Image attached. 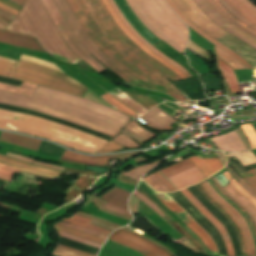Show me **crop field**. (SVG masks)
Instances as JSON below:
<instances>
[{
  "label": "crop field",
  "mask_w": 256,
  "mask_h": 256,
  "mask_svg": "<svg viewBox=\"0 0 256 256\" xmlns=\"http://www.w3.org/2000/svg\"><path fill=\"white\" fill-rule=\"evenodd\" d=\"M223 174H224V176L227 178L228 181L231 179V177H230L228 171H226V172L223 173Z\"/></svg>",
  "instance_id": "ae633e8c"
},
{
  "label": "crop field",
  "mask_w": 256,
  "mask_h": 256,
  "mask_svg": "<svg viewBox=\"0 0 256 256\" xmlns=\"http://www.w3.org/2000/svg\"><path fill=\"white\" fill-rule=\"evenodd\" d=\"M0 102L37 110L112 137L130 119L101 104L40 86L30 97L3 92Z\"/></svg>",
  "instance_id": "ac0d7876"
},
{
  "label": "crop field",
  "mask_w": 256,
  "mask_h": 256,
  "mask_svg": "<svg viewBox=\"0 0 256 256\" xmlns=\"http://www.w3.org/2000/svg\"><path fill=\"white\" fill-rule=\"evenodd\" d=\"M58 7L61 15L63 16L64 20L70 27L73 35L82 45V47L94 57H96L101 63L105 66H110L114 64L111 60H109L105 55H103L98 48L91 42V40L84 34L80 24L78 23L77 19L67 6L65 0H53ZM95 58V59H96ZM96 59V60H97Z\"/></svg>",
  "instance_id": "3316defc"
},
{
  "label": "crop field",
  "mask_w": 256,
  "mask_h": 256,
  "mask_svg": "<svg viewBox=\"0 0 256 256\" xmlns=\"http://www.w3.org/2000/svg\"><path fill=\"white\" fill-rule=\"evenodd\" d=\"M181 12L198 28L209 36L219 39L228 34L211 22L192 0H173Z\"/></svg>",
  "instance_id": "28ad6ade"
},
{
  "label": "crop field",
  "mask_w": 256,
  "mask_h": 256,
  "mask_svg": "<svg viewBox=\"0 0 256 256\" xmlns=\"http://www.w3.org/2000/svg\"><path fill=\"white\" fill-rule=\"evenodd\" d=\"M1 92H2V91H0V95H1Z\"/></svg>",
  "instance_id": "ade564c9"
},
{
  "label": "crop field",
  "mask_w": 256,
  "mask_h": 256,
  "mask_svg": "<svg viewBox=\"0 0 256 256\" xmlns=\"http://www.w3.org/2000/svg\"><path fill=\"white\" fill-rule=\"evenodd\" d=\"M144 180L155 190L160 192H169L170 190L160 181L158 180L153 174L144 178Z\"/></svg>",
  "instance_id": "0bd39190"
},
{
  "label": "crop field",
  "mask_w": 256,
  "mask_h": 256,
  "mask_svg": "<svg viewBox=\"0 0 256 256\" xmlns=\"http://www.w3.org/2000/svg\"><path fill=\"white\" fill-rule=\"evenodd\" d=\"M125 128L146 140L155 135L141 127L138 123H136L133 120L127 126H125Z\"/></svg>",
  "instance_id": "5866460e"
},
{
  "label": "crop field",
  "mask_w": 256,
  "mask_h": 256,
  "mask_svg": "<svg viewBox=\"0 0 256 256\" xmlns=\"http://www.w3.org/2000/svg\"><path fill=\"white\" fill-rule=\"evenodd\" d=\"M5 28V26L0 24V29L3 30Z\"/></svg>",
  "instance_id": "c39391a2"
},
{
  "label": "crop field",
  "mask_w": 256,
  "mask_h": 256,
  "mask_svg": "<svg viewBox=\"0 0 256 256\" xmlns=\"http://www.w3.org/2000/svg\"><path fill=\"white\" fill-rule=\"evenodd\" d=\"M66 2L80 22L85 34L111 60L141 79L145 84L169 89L184 98L180 91L166 79L174 81L180 78L139 49L121 31L101 0H66ZM152 86L148 87L166 92L178 101L185 99L169 90Z\"/></svg>",
  "instance_id": "8a807250"
},
{
  "label": "crop field",
  "mask_w": 256,
  "mask_h": 256,
  "mask_svg": "<svg viewBox=\"0 0 256 256\" xmlns=\"http://www.w3.org/2000/svg\"><path fill=\"white\" fill-rule=\"evenodd\" d=\"M101 97H103L105 100H107L110 104H112L117 109H119V110H121V111H123V112H125V113H127L131 116L136 113L133 110H131L130 108H128L125 105H123L122 103H120L119 101H117L115 98H113L108 93L101 96Z\"/></svg>",
  "instance_id": "b80d0937"
},
{
  "label": "crop field",
  "mask_w": 256,
  "mask_h": 256,
  "mask_svg": "<svg viewBox=\"0 0 256 256\" xmlns=\"http://www.w3.org/2000/svg\"><path fill=\"white\" fill-rule=\"evenodd\" d=\"M118 90L119 92H121V95H117L115 94L112 90ZM110 91H108L111 95H113L115 98H117L119 101L125 103L126 105H128L129 107H131L132 109H134L135 111H137L138 113L142 114L143 112L147 111L148 109H146L144 106H142L141 104L137 103L136 101H134L133 99H131L129 96H127L125 93H123L121 90H119L117 87L114 88Z\"/></svg>",
  "instance_id": "d3111659"
},
{
  "label": "crop field",
  "mask_w": 256,
  "mask_h": 256,
  "mask_svg": "<svg viewBox=\"0 0 256 256\" xmlns=\"http://www.w3.org/2000/svg\"><path fill=\"white\" fill-rule=\"evenodd\" d=\"M235 174V173H234ZM236 175V174H235ZM237 177V176H236ZM238 178V177H237ZM239 179V178H238ZM237 182L243 189H245L251 196L256 198V193L241 179Z\"/></svg>",
  "instance_id": "447ae74e"
},
{
  "label": "crop field",
  "mask_w": 256,
  "mask_h": 256,
  "mask_svg": "<svg viewBox=\"0 0 256 256\" xmlns=\"http://www.w3.org/2000/svg\"><path fill=\"white\" fill-rule=\"evenodd\" d=\"M127 2L154 35L183 53L188 38L187 27L163 0H127Z\"/></svg>",
  "instance_id": "f4fd0767"
},
{
  "label": "crop field",
  "mask_w": 256,
  "mask_h": 256,
  "mask_svg": "<svg viewBox=\"0 0 256 256\" xmlns=\"http://www.w3.org/2000/svg\"><path fill=\"white\" fill-rule=\"evenodd\" d=\"M57 224L65 226V227H69V228H72V229H75V230H79V231H82V232H85V233H89V234H92V235H95V236H98V237H101V238H104V239H106V237H107V235L100 234L98 232L92 231V230L87 229V228H83V227H79V226H75V225H71V224H67V223H63V222H59Z\"/></svg>",
  "instance_id": "5d738f31"
},
{
  "label": "crop field",
  "mask_w": 256,
  "mask_h": 256,
  "mask_svg": "<svg viewBox=\"0 0 256 256\" xmlns=\"http://www.w3.org/2000/svg\"><path fill=\"white\" fill-rule=\"evenodd\" d=\"M226 191H228L234 198H236L241 204H243L255 217L256 219V208L253 206V204L245 199L243 196H241L233 187L231 184H228L224 187Z\"/></svg>",
  "instance_id": "1d83c4d3"
},
{
  "label": "crop field",
  "mask_w": 256,
  "mask_h": 256,
  "mask_svg": "<svg viewBox=\"0 0 256 256\" xmlns=\"http://www.w3.org/2000/svg\"><path fill=\"white\" fill-rule=\"evenodd\" d=\"M41 2L69 48L99 73L106 69L100 63H98L91 55H89L73 37L69 27L61 17L54 2L52 0H41Z\"/></svg>",
  "instance_id": "d8731c3e"
},
{
  "label": "crop field",
  "mask_w": 256,
  "mask_h": 256,
  "mask_svg": "<svg viewBox=\"0 0 256 256\" xmlns=\"http://www.w3.org/2000/svg\"><path fill=\"white\" fill-rule=\"evenodd\" d=\"M203 185L206 187V189L219 201L221 202L231 213L232 215L238 220L245 236H246V240L248 243V247H249V252H250V256H256L255 253V249H254V244H253V240H252V236L251 233L248 229V225L245 222V220L243 219V217L241 216V214L236 211L230 204H228L226 201H224L215 191L214 189L210 186V184L206 181L203 182Z\"/></svg>",
  "instance_id": "214f88e0"
},
{
  "label": "crop field",
  "mask_w": 256,
  "mask_h": 256,
  "mask_svg": "<svg viewBox=\"0 0 256 256\" xmlns=\"http://www.w3.org/2000/svg\"><path fill=\"white\" fill-rule=\"evenodd\" d=\"M219 13L222 17H224L226 20H228L230 23H232L234 26L244 30L246 33L249 35L253 36L256 38V35L253 33L249 32L248 30L244 29L243 27L239 26L237 23H235L230 17H228L212 0H207Z\"/></svg>",
  "instance_id": "d23c7cc5"
},
{
  "label": "crop field",
  "mask_w": 256,
  "mask_h": 256,
  "mask_svg": "<svg viewBox=\"0 0 256 256\" xmlns=\"http://www.w3.org/2000/svg\"><path fill=\"white\" fill-rule=\"evenodd\" d=\"M94 180V178L81 176L69 190V192L67 193L68 196L65 198V200L72 201L73 199H75L78 195L85 191Z\"/></svg>",
  "instance_id": "ae1a2a85"
},
{
  "label": "crop field",
  "mask_w": 256,
  "mask_h": 256,
  "mask_svg": "<svg viewBox=\"0 0 256 256\" xmlns=\"http://www.w3.org/2000/svg\"><path fill=\"white\" fill-rule=\"evenodd\" d=\"M6 29L35 37L49 54L80 59L62 40L40 0H26Z\"/></svg>",
  "instance_id": "412701ff"
},
{
  "label": "crop field",
  "mask_w": 256,
  "mask_h": 256,
  "mask_svg": "<svg viewBox=\"0 0 256 256\" xmlns=\"http://www.w3.org/2000/svg\"><path fill=\"white\" fill-rule=\"evenodd\" d=\"M198 7L210 18L214 23L222 29L237 37L241 41L256 49V39L234 27L232 24L222 18L219 13L206 0H193Z\"/></svg>",
  "instance_id": "cbeb9de0"
},
{
  "label": "crop field",
  "mask_w": 256,
  "mask_h": 256,
  "mask_svg": "<svg viewBox=\"0 0 256 256\" xmlns=\"http://www.w3.org/2000/svg\"><path fill=\"white\" fill-rule=\"evenodd\" d=\"M0 16L4 17L10 21L15 17L2 9H0Z\"/></svg>",
  "instance_id": "7b73153f"
},
{
  "label": "crop field",
  "mask_w": 256,
  "mask_h": 256,
  "mask_svg": "<svg viewBox=\"0 0 256 256\" xmlns=\"http://www.w3.org/2000/svg\"><path fill=\"white\" fill-rule=\"evenodd\" d=\"M54 228L57 229V230L75 235V236H79V237H82V238H85V239H88V240H91V241L101 243V244H103V242H104V239H101V238H98V237H95V236H92V235H89V234L81 233V232H78V231L70 230V229H67V228L62 227V226L54 225Z\"/></svg>",
  "instance_id": "e1f06a70"
},
{
  "label": "crop field",
  "mask_w": 256,
  "mask_h": 256,
  "mask_svg": "<svg viewBox=\"0 0 256 256\" xmlns=\"http://www.w3.org/2000/svg\"><path fill=\"white\" fill-rule=\"evenodd\" d=\"M129 195L130 193L114 187L113 189H111L110 191H108L107 193L100 197L127 209L126 200L129 197Z\"/></svg>",
  "instance_id": "eef30255"
},
{
  "label": "crop field",
  "mask_w": 256,
  "mask_h": 256,
  "mask_svg": "<svg viewBox=\"0 0 256 256\" xmlns=\"http://www.w3.org/2000/svg\"><path fill=\"white\" fill-rule=\"evenodd\" d=\"M213 180H214L215 183L222 189V191H223L224 193H226L228 196H230L235 202H237L241 207H243V208L246 210V212L248 213V215L250 216V218L252 219V221H253V223L255 224V227H256V221H255V219L253 218V216L250 214V212H249L244 206H242L236 199H234L229 193H227V192L224 190V188L217 182V180L215 179V177H213Z\"/></svg>",
  "instance_id": "1d79db26"
},
{
  "label": "crop field",
  "mask_w": 256,
  "mask_h": 256,
  "mask_svg": "<svg viewBox=\"0 0 256 256\" xmlns=\"http://www.w3.org/2000/svg\"><path fill=\"white\" fill-rule=\"evenodd\" d=\"M112 141L119 143L125 147H140V145H138L132 139H130L120 133L116 137H114V139Z\"/></svg>",
  "instance_id": "c035e120"
},
{
  "label": "crop field",
  "mask_w": 256,
  "mask_h": 256,
  "mask_svg": "<svg viewBox=\"0 0 256 256\" xmlns=\"http://www.w3.org/2000/svg\"><path fill=\"white\" fill-rule=\"evenodd\" d=\"M216 64H217L218 71L220 72L222 77L226 80L231 93H239L237 78L234 75L233 71L217 57H216Z\"/></svg>",
  "instance_id": "730fd06b"
},
{
  "label": "crop field",
  "mask_w": 256,
  "mask_h": 256,
  "mask_svg": "<svg viewBox=\"0 0 256 256\" xmlns=\"http://www.w3.org/2000/svg\"><path fill=\"white\" fill-rule=\"evenodd\" d=\"M120 133H122V134H124V135H126V136H128V137H130V138H132V139H134V140H137L139 143H144V142H146V141L143 140L142 138H140V137H138V136H136V135H134V134H132V133L126 131L125 129H123Z\"/></svg>",
  "instance_id": "db79e9e6"
},
{
  "label": "crop field",
  "mask_w": 256,
  "mask_h": 256,
  "mask_svg": "<svg viewBox=\"0 0 256 256\" xmlns=\"http://www.w3.org/2000/svg\"><path fill=\"white\" fill-rule=\"evenodd\" d=\"M160 201L168 208H172L176 204L169 196L160 199ZM187 227L194 231L203 241L206 247L211 252L212 256H218L217 248L211 237L182 209L174 213Z\"/></svg>",
  "instance_id": "5142ce71"
},
{
  "label": "crop field",
  "mask_w": 256,
  "mask_h": 256,
  "mask_svg": "<svg viewBox=\"0 0 256 256\" xmlns=\"http://www.w3.org/2000/svg\"><path fill=\"white\" fill-rule=\"evenodd\" d=\"M0 140L6 141L11 144L18 145V146H22V147H25L28 149H32L35 151L37 150V148L41 142L39 140L30 139V138H26V137L14 135V134H9V133H5V132L1 133Z\"/></svg>",
  "instance_id": "4177f3b9"
},
{
  "label": "crop field",
  "mask_w": 256,
  "mask_h": 256,
  "mask_svg": "<svg viewBox=\"0 0 256 256\" xmlns=\"http://www.w3.org/2000/svg\"><path fill=\"white\" fill-rule=\"evenodd\" d=\"M23 62L0 57V75L23 80V81L37 83L45 87H52V88L63 90L68 93L76 94L79 96H81L85 92V90L88 89L68 76L61 74L86 89L80 87L79 85L75 84L74 82L68 80L63 76L58 75L60 73L55 74L57 72L52 73L54 71L48 68L40 67V66L25 62V63L31 64L52 72L25 64Z\"/></svg>",
  "instance_id": "dd49c442"
},
{
  "label": "crop field",
  "mask_w": 256,
  "mask_h": 256,
  "mask_svg": "<svg viewBox=\"0 0 256 256\" xmlns=\"http://www.w3.org/2000/svg\"><path fill=\"white\" fill-rule=\"evenodd\" d=\"M136 196H138L140 199H142L146 204H148L150 207H152L157 213H159L162 217L166 216L161 210H159L151 201H149L145 196L140 194L138 191L135 190L133 193Z\"/></svg>",
  "instance_id": "dbb93151"
},
{
  "label": "crop field",
  "mask_w": 256,
  "mask_h": 256,
  "mask_svg": "<svg viewBox=\"0 0 256 256\" xmlns=\"http://www.w3.org/2000/svg\"><path fill=\"white\" fill-rule=\"evenodd\" d=\"M19 172V170H15L3 165H0V178L4 180L10 181L13 173Z\"/></svg>",
  "instance_id": "25e5ab78"
},
{
  "label": "crop field",
  "mask_w": 256,
  "mask_h": 256,
  "mask_svg": "<svg viewBox=\"0 0 256 256\" xmlns=\"http://www.w3.org/2000/svg\"><path fill=\"white\" fill-rule=\"evenodd\" d=\"M180 191L219 230L224 240L228 256H234L231 241L224 227L204 208V206L189 191H187L186 189Z\"/></svg>",
  "instance_id": "733c2abd"
},
{
  "label": "crop field",
  "mask_w": 256,
  "mask_h": 256,
  "mask_svg": "<svg viewBox=\"0 0 256 256\" xmlns=\"http://www.w3.org/2000/svg\"><path fill=\"white\" fill-rule=\"evenodd\" d=\"M0 128L40 136L90 154H96V151L107 143L99 137L56 122L2 109H0Z\"/></svg>",
  "instance_id": "34b2d1b8"
},
{
  "label": "crop field",
  "mask_w": 256,
  "mask_h": 256,
  "mask_svg": "<svg viewBox=\"0 0 256 256\" xmlns=\"http://www.w3.org/2000/svg\"><path fill=\"white\" fill-rule=\"evenodd\" d=\"M113 72H115L120 78H122L124 81H128V82H135V83H141L138 79H136L135 77H133L132 75H130L128 72H126L125 70H123L122 68H120L118 65L114 64L112 66L109 67ZM133 84L135 86H139V87H144L147 88L145 85H141V84H134V83H130ZM149 89V88H148Z\"/></svg>",
  "instance_id": "d32e631a"
},
{
  "label": "crop field",
  "mask_w": 256,
  "mask_h": 256,
  "mask_svg": "<svg viewBox=\"0 0 256 256\" xmlns=\"http://www.w3.org/2000/svg\"><path fill=\"white\" fill-rule=\"evenodd\" d=\"M169 6L174 10V12L189 26L191 27L195 32H197L198 34L202 35L203 37H205L206 39H208L209 41H211L213 44L217 45L218 47H220L221 49H223L224 51H226L228 54H230L232 57H234L237 61H239L242 65H244L246 68H253L252 66H250L243 58H241L239 55H237L236 53H234L232 50L224 47L222 44H220L218 41L214 40L213 38L209 37L208 35H206L204 32H202L201 30H199L196 26H194L181 12L180 10L177 8V6L173 3L172 0H165Z\"/></svg>",
  "instance_id": "92a150f3"
},
{
  "label": "crop field",
  "mask_w": 256,
  "mask_h": 256,
  "mask_svg": "<svg viewBox=\"0 0 256 256\" xmlns=\"http://www.w3.org/2000/svg\"><path fill=\"white\" fill-rule=\"evenodd\" d=\"M141 118H143L147 122L145 125L155 130H170L172 128L169 125L176 122V120H174L172 117L167 115L157 106L151 109L150 111H148Z\"/></svg>",
  "instance_id": "4a817a6b"
},
{
  "label": "crop field",
  "mask_w": 256,
  "mask_h": 256,
  "mask_svg": "<svg viewBox=\"0 0 256 256\" xmlns=\"http://www.w3.org/2000/svg\"><path fill=\"white\" fill-rule=\"evenodd\" d=\"M230 165L238 172L256 167V157L251 151L227 153ZM241 178L256 192V168L240 173Z\"/></svg>",
  "instance_id": "d1516ede"
},
{
  "label": "crop field",
  "mask_w": 256,
  "mask_h": 256,
  "mask_svg": "<svg viewBox=\"0 0 256 256\" xmlns=\"http://www.w3.org/2000/svg\"><path fill=\"white\" fill-rule=\"evenodd\" d=\"M110 240L132 248L144 256H170L159 247L121 229L113 232Z\"/></svg>",
  "instance_id": "22f410ed"
},
{
  "label": "crop field",
  "mask_w": 256,
  "mask_h": 256,
  "mask_svg": "<svg viewBox=\"0 0 256 256\" xmlns=\"http://www.w3.org/2000/svg\"><path fill=\"white\" fill-rule=\"evenodd\" d=\"M160 172L177 188L183 189L203 179L204 175L188 159L160 170ZM154 175L160 179L171 191L176 190L159 172Z\"/></svg>",
  "instance_id": "e52e79f7"
},
{
  "label": "crop field",
  "mask_w": 256,
  "mask_h": 256,
  "mask_svg": "<svg viewBox=\"0 0 256 256\" xmlns=\"http://www.w3.org/2000/svg\"><path fill=\"white\" fill-rule=\"evenodd\" d=\"M0 8H2V9H4V10L8 11L9 13H11V14H13V15H16V14L18 13V11L14 10V9H12V8H10V7L6 6V5H4V4H1V3H0Z\"/></svg>",
  "instance_id": "78b8030e"
},
{
  "label": "crop field",
  "mask_w": 256,
  "mask_h": 256,
  "mask_svg": "<svg viewBox=\"0 0 256 256\" xmlns=\"http://www.w3.org/2000/svg\"><path fill=\"white\" fill-rule=\"evenodd\" d=\"M113 157L109 156H86L82 154L73 153L67 151L63 154L61 159L74 161L76 163L88 164V165H107V161Z\"/></svg>",
  "instance_id": "00972430"
},
{
  "label": "crop field",
  "mask_w": 256,
  "mask_h": 256,
  "mask_svg": "<svg viewBox=\"0 0 256 256\" xmlns=\"http://www.w3.org/2000/svg\"><path fill=\"white\" fill-rule=\"evenodd\" d=\"M57 232H58V235L60 237L72 239V240L87 244L89 246H92V247H95V248H98V249H100V247H101V244L94 243V242H91V241H88V240H85V239H82V238H79V237H75V236H72V235H69V234H66V233H63V232H59V231H57Z\"/></svg>",
  "instance_id": "03da06ac"
},
{
  "label": "crop field",
  "mask_w": 256,
  "mask_h": 256,
  "mask_svg": "<svg viewBox=\"0 0 256 256\" xmlns=\"http://www.w3.org/2000/svg\"><path fill=\"white\" fill-rule=\"evenodd\" d=\"M240 127L243 129L246 137L250 141V143L253 146V148H256V133L253 131V129L250 126V124L243 125V126H240Z\"/></svg>",
  "instance_id": "b54c1fbb"
},
{
  "label": "crop field",
  "mask_w": 256,
  "mask_h": 256,
  "mask_svg": "<svg viewBox=\"0 0 256 256\" xmlns=\"http://www.w3.org/2000/svg\"><path fill=\"white\" fill-rule=\"evenodd\" d=\"M6 156H10V157H13V158H16V159H20V160H23V161H26V162H29V163H33V164H37V165H42V166L54 168V169L61 170V171L63 170L62 167H57V166H53V165H48V164L36 162V161H34L32 159L25 158V157H22V156H19V155H16V154H12V153H9V152H7Z\"/></svg>",
  "instance_id": "425ffa30"
},
{
  "label": "crop field",
  "mask_w": 256,
  "mask_h": 256,
  "mask_svg": "<svg viewBox=\"0 0 256 256\" xmlns=\"http://www.w3.org/2000/svg\"><path fill=\"white\" fill-rule=\"evenodd\" d=\"M10 2L22 6L25 0H9Z\"/></svg>",
  "instance_id": "e1d0b9f6"
},
{
  "label": "crop field",
  "mask_w": 256,
  "mask_h": 256,
  "mask_svg": "<svg viewBox=\"0 0 256 256\" xmlns=\"http://www.w3.org/2000/svg\"><path fill=\"white\" fill-rule=\"evenodd\" d=\"M105 7L107 8V10L109 11V13L111 14V16L114 18V20L116 21V23L119 25V27L122 29V31H124L126 33V35L138 46L140 47L142 50H144L145 52H147L148 54H150L151 56H153L155 59H157L158 61H160L161 63H163L164 65H166L168 68H170L171 70H173L181 79L186 78V76L180 72L177 68H175L173 65H171L169 62H167L166 60L162 59L161 57H159L158 55H156L155 53H153L151 50H149L145 45H143L135 36H133L130 31L124 26V24L120 21V19L117 18L116 14L114 13V11L112 10L111 6L109 5V3L107 2V0H102Z\"/></svg>",
  "instance_id": "bc2a9ffb"
},
{
  "label": "crop field",
  "mask_w": 256,
  "mask_h": 256,
  "mask_svg": "<svg viewBox=\"0 0 256 256\" xmlns=\"http://www.w3.org/2000/svg\"><path fill=\"white\" fill-rule=\"evenodd\" d=\"M57 246L68 249V250H71V251H74V252H78V253H81V254H84V255H87V256H95V255H91V254H88V253H85V252H82V251H78V250H75V249H72V248H68V247H65V246H60V245H57Z\"/></svg>",
  "instance_id": "0f1d7ab4"
},
{
  "label": "crop field",
  "mask_w": 256,
  "mask_h": 256,
  "mask_svg": "<svg viewBox=\"0 0 256 256\" xmlns=\"http://www.w3.org/2000/svg\"><path fill=\"white\" fill-rule=\"evenodd\" d=\"M52 255H55V256H84V255H80V254L70 252V251H67L64 249H60L57 247H55L54 251L52 252Z\"/></svg>",
  "instance_id": "0fb4a251"
},
{
  "label": "crop field",
  "mask_w": 256,
  "mask_h": 256,
  "mask_svg": "<svg viewBox=\"0 0 256 256\" xmlns=\"http://www.w3.org/2000/svg\"><path fill=\"white\" fill-rule=\"evenodd\" d=\"M36 87H37L36 85H32L24 82L22 83L20 88L0 83V90H5L8 92H12L20 95H26V96H30L31 93L36 89Z\"/></svg>",
  "instance_id": "750c4746"
},
{
  "label": "crop field",
  "mask_w": 256,
  "mask_h": 256,
  "mask_svg": "<svg viewBox=\"0 0 256 256\" xmlns=\"http://www.w3.org/2000/svg\"><path fill=\"white\" fill-rule=\"evenodd\" d=\"M21 60H25V61H29V62H33V63H37V64H40V65H44V66H47V67H50V68H53L59 72H62L64 73L60 68H58L56 65L52 64V63H49V62H45V61H42V60H39V59H36V58H32V57H29V56H25V55H22L21 54V57H20ZM65 74V73H64Z\"/></svg>",
  "instance_id": "c21b1889"
},
{
  "label": "crop field",
  "mask_w": 256,
  "mask_h": 256,
  "mask_svg": "<svg viewBox=\"0 0 256 256\" xmlns=\"http://www.w3.org/2000/svg\"><path fill=\"white\" fill-rule=\"evenodd\" d=\"M215 55L223 60L225 63L230 65L233 70L238 69H245L239 62L229 56L226 52L220 50L219 48L215 47Z\"/></svg>",
  "instance_id": "028f5c9d"
},
{
  "label": "crop field",
  "mask_w": 256,
  "mask_h": 256,
  "mask_svg": "<svg viewBox=\"0 0 256 256\" xmlns=\"http://www.w3.org/2000/svg\"><path fill=\"white\" fill-rule=\"evenodd\" d=\"M113 10L115 11V13L117 14L118 18H120L122 20V22L126 25V27L131 31V33L133 35H135L143 44H145L149 49H151L153 52H155L156 54L162 56L163 58H165L167 61H169L170 63H172L174 66H176L179 70H181L187 77H190L191 75L178 63L174 62L173 60H171L170 58H168L167 56H165L164 54H162L160 51H158L156 48H154L151 44H149L145 39H143L132 27L131 25L126 21V19L123 17V15L120 13V11L117 9V7L115 6L113 0H109Z\"/></svg>",
  "instance_id": "dafd665d"
},
{
  "label": "crop field",
  "mask_w": 256,
  "mask_h": 256,
  "mask_svg": "<svg viewBox=\"0 0 256 256\" xmlns=\"http://www.w3.org/2000/svg\"><path fill=\"white\" fill-rule=\"evenodd\" d=\"M122 149H124V147L110 141L107 144H105L100 150H98V153L118 151V150H122Z\"/></svg>",
  "instance_id": "73cf0c24"
},
{
  "label": "crop field",
  "mask_w": 256,
  "mask_h": 256,
  "mask_svg": "<svg viewBox=\"0 0 256 256\" xmlns=\"http://www.w3.org/2000/svg\"><path fill=\"white\" fill-rule=\"evenodd\" d=\"M65 172L68 173H77V174H83V175H89V176H96V173L91 171H80V170H74V169H65Z\"/></svg>",
  "instance_id": "0765c3eb"
},
{
  "label": "crop field",
  "mask_w": 256,
  "mask_h": 256,
  "mask_svg": "<svg viewBox=\"0 0 256 256\" xmlns=\"http://www.w3.org/2000/svg\"><path fill=\"white\" fill-rule=\"evenodd\" d=\"M0 160H3L5 162H8V163L20 166V167H24V168H28V169H32V170H36V171L56 175V176H60V175L64 174V173H60L58 171H54V170H51V169L28 165V164L22 163L20 161H17V160H14V159H11V158H8V157H5V156H1V155H0Z\"/></svg>",
  "instance_id": "bd1437ed"
},
{
  "label": "crop field",
  "mask_w": 256,
  "mask_h": 256,
  "mask_svg": "<svg viewBox=\"0 0 256 256\" xmlns=\"http://www.w3.org/2000/svg\"><path fill=\"white\" fill-rule=\"evenodd\" d=\"M0 42L44 52L43 48L39 45L35 38L18 34L6 29L3 31L0 30Z\"/></svg>",
  "instance_id": "d9b57169"
},
{
  "label": "crop field",
  "mask_w": 256,
  "mask_h": 256,
  "mask_svg": "<svg viewBox=\"0 0 256 256\" xmlns=\"http://www.w3.org/2000/svg\"><path fill=\"white\" fill-rule=\"evenodd\" d=\"M104 208H107L109 210L118 212L120 214H123V215H126V216L132 218V216L130 215L129 211L124 209V208H122V207H119V206H116V205L108 203L107 205L104 206Z\"/></svg>",
  "instance_id": "1f2cbd36"
},
{
  "label": "crop field",
  "mask_w": 256,
  "mask_h": 256,
  "mask_svg": "<svg viewBox=\"0 0 256 256\" xmlns=\"http://www.w3.org/2000/svg\"><path fill=\"white\" fill-rule=\"evenodd\" d=\"M230 183L233 185V187L245 198L249 199L256 207V200L251 197L249 194H247L236 182L234 179L230 181Z\"/></svg>",
  "instance_id": "89e229c0"
},
{
  "label": "crop field",
  "mask_w": 256,
  "mask_h": 256,
  "mask_svg": "<svg viewBox=\"0 0 256 256\" xmlns=\"http://www.w3.org/2000/svg\"><path fill=\"white\" fill-rule=\"evenodd\" d=\"M188 159H190L200 169L206 178L213 175L223 167L218 158L200 159L193 156Z\"/></svg>",
  "instance_id": "a9b5d70f"
},
{
  "label": "crop field",
  "mask_w": 256,
  "mask_h": 256,
  "mask_svg": "<svg viewBox=\"0 0 256 256\" xmlns=\"http://www.w3.org/2000/svg\"><path fill=\"white\" fill-rule=\"evenodd\" d=\"M0 164L6 165V166H9V167H12V168H16V169H19V170H23V171H27V172H31V173H35V174H40V175L56 178V176H52V175H48V174H44V173H40V172H36V171H32V170L20 168V167L10 165V164H7V163L1 162V161H0Z\"/></svg>",
  "instance_id": "9d1cf04e"
},
{
  "label": "crop field",
  "mask_w": 256,
  "mask_h": 256,
  "mask_svg": "<svg viewBox=\"0 0 256 256\" xmlns=\"http://www.w3.org/2000/svg\"><path fill=\"white\" fill-rule=\"evenodd\" d=\"M162 160V159H160ZM160 160L155 161L151 164H147V165H143V166H139L136 167L134 169H131L129 171L123 172L121 174L129 177V178H133L138 180L140 176L144 175L150 168L154 167ZM151 170V169H150Z\"/></svg>",
  "instance_id": "120bbe31"
},
{
  "label": "crop field",
  "mask_w": 256,
  "mask_h": 256,
  "mask_svg": "<svg viewBox=\"0 0 256 256\" xmlns=\"http://www.w3.org/2000/svg\"><path fill=\"white\" fill-rule=\"evenodd\" d=\"M0 23L3 24V25H5V26L8 25V23H6V22H4V21H2V20H0Z\"/></svg>",
  "instance_id": "d14b1444"
},
{
  "label": "crop field",
  "mask_w": 256,
  "mask_h": 256,
  "mask_svg": "<svg viewBox=\"0 0 256 256\" xmlns=\"http://www.w3.org/2000/svg\"><path fill=\"white\" fill-rule=\"evenodd\" d=\"M228 16L256 34V8L248 0H213Z\"/></svg>",
  "instance_id": "5a996713"
}]
</instances>
